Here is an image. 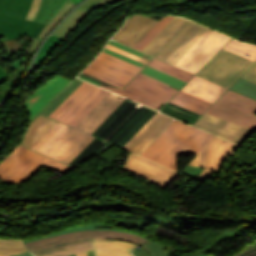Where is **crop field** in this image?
Instances as JSON below:
<instances>
[{"mask_svg": "<svg viewBox=\"0 0 256 256\" xmlns=\"http://www.w3.org/2000/svg\"><path fill=\"white\" fill-rule=\"evenodd\" d=\"M125 170L162 188H165L168 184H170L179 174V172L173 169L133 153L128 159Z\"/></svg>", "mask_w": 256, "mask_h": 256, "instance_id": "cbeb9de0", "label": "crop field"}, {"mask_svg": "<svg viewBox=\"0 0 256 256\" xmlns=\"http://www.w3.org/2000/svg\"><path fill=\"white\" fill-rule=\"evenodd\" d=\"M88 14L89 12L78 7L58 26L53 34L62 39H66L69 34L76 28V26L86 18Z\"/></svg>", "mask_w": 256, "mask_h": 256, "instance_id": "730fd06b", "label": "crop field"}, {"mask_svg": "<svg viewBox=\"0 0 256 256\" xmlns=\"http://www.w3.org/2000/svg\"><path fill=\"white\" fill-rule=\"evenodd\" d=\"M132 253L134 254V256H150V254L145 250L139 252V251L133 249Z\"/></svg>", "mask_w": 256, "mask_h": 256, "instance_id": "dbb93151", "label": "crop field"}, {"mask_svg": "<svg viewBox=\"0 0 256 256\" xmlns=\"http://www.w3.org/2000/svg\"><path fill=\"white\" fill-rule=\"evenodd\" d=\"M161 112L192 124L200 115L168 102ZM196 122V121H195ZM194 122V123H195Z\"/></svg>", "mask_w": 256, "mask_h": 256, "instance_id": "eef30255", "label": "crop field"}, {"mask_svg": "<svg viewBox=\"0 0 256 256\" xmlns=\"http://www.w3.org/2000/svg\"><path fill=\"white\" fill-rule=\"evenodd\" d=\"M106 142L96 138L85 150H83L72 162L70 165L73 167L82 163L86 159L93 156L100 148H102Z\"/></svg>", "mask_w": 256, "mask_h": 256, "instance_id": "028f5c9d", "label": "crop field"}, {"mask_svg": "<svg viewBox=\"0 0 256 256\" xmlns=\"http://www.w3.org/2000/svg\"><path fill=\"white\" fill-rule=\"evenodd\" d=\"M244 96L228 89L208 112L255 131L256 100Z\"/></svg>", "mask_w": 256, "mask_h": 256, "instance_id": "3316defc", "label": "crop field"}, {"mask_svg": "<svg viewBox=\"0 0 256 256\" xmlns=\"http://www.w3.org/2000/svg\"><path fill=\"white\" fill-rule=\"evenodd\" d=\"M141 73L151 76L155 79H158V80H160L164 83H167L171 86H174L178 89H180L182 86H184L186 84V82H184L180 79H177L171 75H168L162 71H159L155 68H152L148 65L141 71Z\"/></svg>", "mask_w": 256, "mask_h": 256, "instance_id": "750c4746", "label": "crop field"}, {"mask_svg": "<svg viewBox=\"0 0 256 256\" xmlns=\"http://www.w3.org/2000/svg\"><path fill=\"white\" fill-rule=\"evenodd\" d=\"M224 49L256 61V46L231 40Z\"/></svg>", "mask_w": 256, "mask_h": 256, "instance_id": "1d83c4d3", "label": "crop field"}, {"mask_svg": "<svg viewBox=\"0 0 256 256\" xmlns=\"http://www.w3.org/2000/svg\"><path fill=\"white\" fill-rule=\"evenodd\" d=\"M95 256H133L130 250L135 243L116 239H92Z\"/></svg>", "mask_w": 256, "mask_h": 256, "instance_id": "00972430", "label": "crop field"}, {"mask_svg": "<svg viewBox=\"0 0 256 256\" xmlns=\"http://www.w3.org/2000/svg\"><path fill=\"white\" fill-rule=\"evenodd\" d=\"M83 81L75 79L64 91H62L43 111L42 113L49 116L66 98H68Z\"/></svg>", "mask_w": 256, "mask_h": 256, "instance_id": "d3111659", "label": "crop field"}, {"mask_svg": "<svg viewBox=\"0 0 256 256\" xmlns=\"http://www.w3.org/2000/svg\"><path fill=\"white\" fill-rule=\"evenodd\" d=\"M206 30L197 23L174 17L142 52L174 65Z\"/></svg>", "mask_w": 256, "mask_h": 256, "instance_id": "ac0d7876", "label": "crop field"}, {"mask_svg": "<svg viewBox=\"0 0 256 256\" xmlns=\"http://www.w3.org/2000/svg\"><path fill=\"white\" fill-rule=\"evenodd\" d=\"M77 4L78 3H75L71 0H67L58 10V12L53 16V18L49 21V23L43 29L41 34L38 36V38L44 39L52 31V29L60 22V20Z\"/></svg>", "mask_w": 256, "mask_h": 256, "instance_id": "ae1a2a85", "label": "crop field"}, {"mask_svg": "<svg viewBox=\"0 0 256 256\" xmlns=\"http://www.w3.org/2000/svg\"><path fill=\"white\" fill-rule=\"evenodd\" d=\"M91 238L124 239L135 242L139 245L146 241L128 233L105 230H89L51 238L27 244L25 246L36 256H65L93 249Z\"/></svg>", "mask_w": 256, "mask_h": 256, "instance_id": "34b2d1b8", "label": "crop field"}, {"mask_svg": "<svg viewBox=\"0 0 256 256\" xmlns=\"http://www.w3.org/2000/svg\"><path fill=\"white\" fill-rule=\"evenodd\" d=\"M124 101L125 98L109 92L76 128L92 134Z\"/></svg>", "mask_w": 256, "mask_h": 256, "instance_id": "d9b57169", "label": "crop field"}, {"mask_svg": "<svg viewBox=\"0 0 256 256\" xmlns=\"http://www.w3.org/2000/svg\"><path fill=\"white\" fill-rule=\"evenodd\" d=\"M64 40L50 36L39 51L34 63L40 65Z\"/></svg>", "mask_w": 256, "mask_h": 256, "instance_id": "5866460e", "label": "crop field"}, {"mask_svg": "<svg viewBox=\"0 0 256 256\" xmlns=\"http://www.w3.org/2000/svg\"><path fill=\"white\" fill-rule=\"evenodd\" d=\"M243 78L256 83V64H254L244 75Z\"/></svg>", "mask_w": 256, "mask_h": 256, "instance_id": "425ffa30", "label": "crop field"}, {"mask_svg": "<svg viewBox=\"0 0 256 256\" xmlns=\"http://www.w3.org/2000/svg\"><path fill=\"white\" fill-rule=\"evenodd\" d=\"M145 250H147L152 256H168L167 253L164 251L167 247L160 246L157 243L153 242H146L141 245Z\"/></svg>", "mask_w": 256, "mask_h": 256, "instance_id": "b80d0937", "label": "crop field"}, {"mask_svg": "<svg viewBox=\"0 0 256 256\" xmlns=\"http://www.w3.org/2000/svg\"><path fill=\"white\" fill-rule=\"evenodd\" d=\"M173 18V16L163 17L135 46L134 48L142 50L157 33Z\"/></svg>", "mask_w": 256, "mask_h": 256, "instance_id": "e1f06a70", "label": "crop field"}, {"mask_svg": "<svg viewBox=\"0 0 256 256\" xmlns=\"http://www.w3.org/2000/svg\"><path fill=\"white\" fill-rule=\"evenodd\" d=\"M231 89L256 99V84L241 78Z\"/></svg>", "mask_w": 256, "mask_h": 256, "instance_id": "0bd39190", "label": "crop field"}, {"mask_svg": "<svg viewBox=\"0 0 256 256\" xmlns=\"http://www.w3.org/2000/svg\"><path fill=\"white\" fill-rule=\"evenodd\" d=\"M204 169L203 168H198L194 166H190L189 164L184 168L182 173L189 177H194L196 174H200Z\"/></svg>", "mask_w": 256, "mask_h": 256, "instance_id": "5d738f31", "label": "crop field"}, {"mask_svg": "<svg viewBox=\"0 0 256 256\" xmlns=\"http://www.w3.org/2000/svg\"><path fill=\"white\" fill-rule=\"evenodd\" d=\"M67 1V0H66ZM65 2V0H63L60 4H59V6L57 7V9H56V11L61 7V5L63 4ZM56 11L54 12V14L56 13ZM53 14V15H54ZM52 15V16H53ZM52 16L47 20V22H46V24L48 23V21L52 18Z\"/></svg>", "mask_w": 256, "mask_h": 256, "instance_id": "9d1cf04e", "label": "crop field"}, {"mask_svg": "<svg viewBox=\"0 0 256 256\" xmlns=\"http://www.w3.org/2000/svg\"><path fill=\"white\" fill-rule=\"evenodd\" d=\"M69 82L70 81L60 76L54 77L26 100V107L32 116V120L61 92V90Z\"/></svg>", "mask_w": 256, "mask_h": 256, "instance_id": "214f88e0", "label": "crop field"}, {"mask_svg": "<svg viewBox=\"0 0 256 256\" xmlns=\"http://www.w3.org/2000/svg\"><path fill=\"white\" fill-rule=\"evenodd\" d=\"M117 0H86L80 7L92 11L96 8L105 6L107 4L113 3Z\"/></svg>", "mask_w": 256, "mask_h": 256, "instance_id": "c035e120", "label": "crop field"}, {"mask_svg": "<svg viewBox=\"0 0 256 256\" xmlns=\"http://www.w3.org/2000/svg\"><path fill=\"white\" fill-rule=\"evenodd\" d=\"M106 48H108V49H110V50H113V51H115V52H117V53H120V54H122V55H124V56H127V57H129V58H131V59H134V60H136V61H138V62H141V63H143V64H145V65L149 63V61H147V60H145V59H142V58H140V57H137V56H135V55H133V54H130V53H128V52H125V51H123V50H121V49H118V48H116V47H113V46H111V45H109V44H107Z\"/></svg>", "mask_w": 256, "mask_h": 256, "instance_id": "03da06ac", "label": "crop field"}, {"mask_svg": "<svg viewBox=\"0 0 256 256\" xmlns=\"http://www.w3.org/2000/svg\"><path fill=\"white\" fill-rule=\"evenodd\" d=\"M141 70L140 67L101 52L84 72L123 89Z\"/></svg>", "mask_w": 256, "mask_h": 256, "instance_id": "28ad6ade", "label": "crop field"}, {"mask_svg": "<svg viewBox=\"0 0 256 256\" xmlns=\"http://www.w3.org/2000/svg\"><path fill=\"white\" fill-rule=\"evenodd\" d=\"M87 255H88V256H93V252H92V250L87 251Z\"/></svg>", "mask_w": 256, "mask_h": 256, "instance_id": "7b73153f", "label": "crop field"}, {"mask_svg": "<svg viewBox=\"0 0 256 256\" xmlns=\"http://www.w3.org/2000/svg\"><path fill=\"white\" fill-rule=\"evenodd\" d=\"M77 256H87L86 255V252H84V253H78V254H76Z\"/></svg>", "mask_w": 256, "mask_h": 256, "instance_id": "78b8030e", "label": "crop field"}, {"mask_svg": "<svg viewBox=\"0 0 256 256\" xmlns=\"http://www.w3.org/2000/svg\"><path fill=\"white\" fill-rule=\"evenodd\" d=\"M172 120L158 112L123 148L139 154Z\"/></svg>", "mask_w": 256, "mask_h": 256, "instance_id": "bc2a9ffb", "label": "crop field"}, {"mask_svg": "<svg viewBox=\"0 0 256 256\" xmlns=\"http://www.w3.org/2000/svg\"><path fill=\"white\" fill-rule=\"evenodd\" d=\"M32 0H0V42L20 36L35 37L45 25L25 20Z\"/></svg>", "mask_w": 256, "mask_h": 256, "instance_id": "dd49c442", "label": "crop field"}, {"mask_svg": "<svg viewBox=\"0 0 256 256\" xmlns=\"http://www.w3.org/2000/svg\"><path fill=\"white\" fill-rule=\"evenodd\" d=\"M238 148L215 136L189 164L207 168L200 174L201 181L205 182Z\"/></svg>", "mask_w": 256, "mask_h": 256, "instance_id": "22f410ed", "label": "crop field"}, {"mask_svg": "<svg viewBox=\"0 0 256 256\" xmlns=\"http://www.w3.org/2000/svg\"><path fill=\"white\" fill-rule=\"evenodd\" d=\"M182 90L214 103L227 88L195 75Z\"/></svg>", "mask_w": 256, "mask_h": 256, "instance_id": "dafd665d", "label": "crop field"}, {"mask_svg": "<svg viewBox=\"0 0 256 256\" xmlns=\"http://www.w3.org/2000/svg\"><path fill=\"white\" fill-rule=\"evenodd\" d=\"M94 139L93 136L63 124L37 152L69 165Z\"/></svg>", "mask_w": 256, "mask_h": 256, "instance_id": "e52e79f7", "label": "crop field"}, {"mask_svg": "<svg viewBox=\"0 0 256 256\" xmlns=\"http://www.w3.org/2000/svg\"><path fill=\"white\" fill-rule=\"evenodd\" d=\"M43 165L54 168L62 173L72 168L19 144L0 163V179L9 183H22L32 178Z\"/></svg>", "mask_w": 256, "mask_h": 256, "instance_id": "f4fd0767", "label": "crop field"}, {"mask_svg": "<svg viewBox=\"0 0 256 256\" xmlns=\"http://www.w3.org/2000/svg\"><path fill=\"white\" fill-rule=\"evenodd\" d=\"M73 1H76V2L80 3L82 0H73Z\"/></svg>", "mask_w": 256, "mask_h": 256, "instance_id": "0f1d7ab4", "label": "crop field"}, {"mask_svg": "<svg viewBox=\"0 0 256 256\" xmlns=\"http://www.w3.org/2000/svg\"><path fill=\"white\" fill-rule=\"evenodd\" d=\"M27 252L21 240L0 238V255H13Z\"/></svg>", "mask_w": 256, "mask_h": 256, "instance_id": "d32e631a", "label": "crop field"}, {"mask_svg": "<svg viewBox=\"0 0 256 256\" xmlns=\"http://www.w3.org/2000/svg\"><path fill=\"white\" fill-rule=\"evenodd\" d=\"M215 135L175 119L141 156L177 170V155H196Z\"/></svg>", "mask_w": 256, "mask_h": 256, "instance_id": "8a807250", "label": "crop field"}, {"mask_svg": "<svg viewBox=\"0 0 256 256\" xmlns=\"http://www.w3.org/2000/svg\"><path fill=\"white\" fill-rule=\"evenodd\" d=\"M112 144H109V143H107L101 150H103V149H105V148H107V147H109V146H111ZM101 150H99L98 152H100ZM97 152V153H98Z\"/></svg>", "mask_w": 256, "mask_h": 256, "instance_id": "db79e9e6", "label": "crop field"}, {"mask_svg": "<svg viewBox=\"0 0 256 256\" xmlns=\"http://www.w3.org/2000/svg\"><path fill=\"white\" fill-rule=\"evenodd\" d=\"M58 2V0H51L49 6L47 7L42 19L40 20L41 23H43V21L45 20L46 16L48 15V13L51 11V9L54 7V5ZM56 6V5H55ZM53 10V9H52ZM50 14V13H49ZM48 17V16H47Z\"/></svg>", "mask_w": 256, "mask_h": 256, "instance_id": "89e229c0", "label": "crop field"}, {"mask_svg": "<svg viewBox=\"0 0 256 256\" xmlns=\"http://www.w3.org/2000/svg\"><path fill=\"white\" fill-rule=\"evenodd\" d=\"M81 75H84V76H86V77H89V78H92V79H94V80H97V81L102 82L99 86L115 87V86H112V85H110V84H108V83H106V82H104V81H101V80L95 78V77H92V76H90V75H88V74H86V73H84V72H82Z\"/></svg>", "mask_w": 256, "mask_h": 256, "instance_id": "1f2cbd36", "label": "crop field"}, {"mask_svg": "<svg viewBox=\"0 0 256 256\" xmlns=\"http://www.w3.org/2000/svg\"><path fill=\"white\" fill-rule=\"evenodd\" d=\"M148 65L155 67L159 70H162L168 74H171L177 78H180L186 82L193 76V74H191V73H188V72H185L178 68H175V67H173L167 63H164L156 58H154Z\"/></svg>", "mask_w": 256, "mask_h": 256, "instance_id": "120bbe31", "label": "crop field"}, {"mask_svg": "<svg viewBox=\"0 0 256 256\" xmlns=\"http://www.w3.org/2000/svg\"><path fill=\"white\" fill-rule=\"evenodd\" d=\"M50 0H42V4L40 6V9L34 19V21L39 22L43 12L45 11L46 7L48 6ZM61 2V0H59V2L56 4V6L53 8V10L50 12V14L48 15V17L46 18V20L53 14V12L55 11L56 7L58 6V4ZM46 20L44 21V24L46 22Z\"/></svg>", "mask_w": 256, "mask_h": 256, "instance_id": "b54c1fbb", "label": "crop field"}, {"mask_svg": "<svg viewBox=\"0 0 256 256\" xmlns=\"http://www.w3.org/2000/svg\"><path fill=\"white\" fill-rule=\"evenodd\" d=\"M78 77H80V78H82V79H84V80H86V81L92 82V83H94V84H97V85H99V84H100V82H97V81L91 80V79L86 78V77H83V76H81V75H78Z\"/></svg>", "mask_w": 256, "mask_h": 256, "instance_id": "1d79db26", "label": "crop field"}, {"mask_svg": "<svg viewBox=\"0 0 256 256\" xmlns=\"http://www.w3.org/2000/svg\"><path fill=\"white\" fill-rule=\"evenodd\" d=\"M158 21L133 13L112 39L133 47Z\"/></svg>", "mask_w": 256, "mask_h": 256, "instance_id": "4a817a6b", "label": "crop field"}, {"mask_svg": "<svg viewBox=\"0 0 256 256\" xmlns=\"http://www.w3.org/2000/svg\"><path fill=\"white\" fill-rule=\"evenodd\" d=\"M94 227H96V228H94ZM89 229H105V230H115V231L128 232V233L135 234L137 236H140V237L148 240L147 238H145V237H143V236H141L137 233L122 230V229H119V228H116V227H112L108 224L96 222V223H88V224H83V225H79V226L70 227V228L60 230V231H57V232H54V233H51V234L43 235V236H38V237L25 239L24 243L27 244V243H31V242H35V241H39V240H43V239H47V238H51V237L71 233V232L84 231V230H89Z\"/></svg>", "mask_w": 256, "mask_h": 256, "instance_id": "4177f3b9", "label": "crop field"}, {"mask_svg": "<svg viewBox=\"0 0 256 256\" xmlns=\"http://www.w3.org/2000/svg\"><path fill=\"white\" fill-rule=\"evenodd\" d=\"M107 93H108V91L101 88L85 104V106L68 122V124L75 127Z\"/></svg>", "mask_w": 256, "mask_h": 256, "instance_id": "bd1437ed", "label": "crop field"}, {"mask_svg": "<svg viewBox=\"0 0 256 256\" xmlns=\"http://www.w3.org/2000/svg\"><path fill=\"white\" fill-rule=\"evenodd\" d=\"M8 73L0 67V83L7 79Z\"/></svg>", "mask_w": 256, "mask_h": 256, "instance_id": "0fb4a251", "label": "crop field"}, {"mask_svg": "<svg viewBox=\"0 0 256 256\" xmlns=\"http://www.w3.org/2000/svg\"><path fill=\"white\" fill-rule=\"evenodd\" d=\"M253 63L222 49L197 75L229 88Z\"/></svg>", "mask_w": 256, "mask_h": 256, "instance_id": "5a996713", "label": "crop field"}, {"mask_svg": "<svg viewBox=\"0 0 256 256\" xmlns=\"http://www.w3.org/2000/svg\"><path fill=\"white\" fill-rule=\"evenodd\" d=\"M103 52L108 53V54H110V55H113V56H115V57H117V58H120V59H122V60H125V61H127V62H130V63H132V64H135V65H137V66H140V67H142V68L145 67V65H143V64H141V63H138V62H136V61H134V60H131V59L127 58V57H124V56H122V55H120V54H117V53H115V52H113V51H110V50H108V49H106V48H104Z\"/></svg>", "mask_w": 256, "mask_h": 256, "instance_id": "d23c7cc5", "label": "crop field"}, {"mask_svg": "<svg viewBox=\"0 0 256 256\" xmlns=\"http://www.w3.org/2000/svg\"><path fill=\"white\" fill-rule=\"evenodd\" d=\"M126 100L93 135L123 147L157 111Z\"/></svg>", "mask_w": 256, "mask_h": 256, "instance_id": "412701ff", "label": "crop field"}, {"mask_svg": "<svg viewBox=\"0 0 256 256\" xmlns=\"http://www.w3.org/2000/svg\"><path fill=\"white\" fill-rule=\"evenodd\" d=\"M99 89L100 87L84 82L50 117L67 123Z\"/></svg>", "mask_w": 256, "mask_h": 256, "instance_id": "733c2abd", "label": "crop field"}, {"mask_svg": "<svg viewBox=\"0 0 256 256\" xmlns=\"http://www.w3.org/2000/svg\"><path fill=\"white\" fill-rule=\"evenodd\" d=\"M40 4H41V0H33V5H32L31 10L26 18L27 20H31V21L33 20Z\"/></svg>", "mask_w": 256, "mask_h": 256, "instance_id": "25e5ab78", "label": "crop field"}, {"mask_svg": "<svg viewBox=\"0 0 256 256\" xmlns=\"http://www.w3.org/2000/svg\"><path fill=\"white\" fill-rule=\"evenodd\" d=\"M13 256H33L31 253L27 252L24 254H20V255H13Z\"/></svg>", "mask_w": 256, "mask_h": 256, "instance_id": "447ae74e", "label": "crop field"}, {"mask_svg": "<svg viewBox=\"0 0 256 256\" xmlns=\"http://www.w3.org/2000/svg\"><path fill=\"white\" fill-rule=\"evenodd\" d=\"M230 39L208 29L175 66L196 74Z\"/></svg>", "mask_w": 256, "mask_h": 256, "instance_id": "d1516ede", "label": "crop field"}, {"mask_svg": "<svg viewBox=\"0 0 256 256\" xmlns=\"http://www.w3.org/2000/svg\"><path fill=\"white\" fill-rule=\"evenodd\" d=\"M194 126L212 132L239 145H241L254 131L248 130L207 112L194 124Z\"/></svg>", "mask_w": 256, "mask_h": 256, "instance_id": "5142ce71", "label": "crop field"}, {"mask_svg": "<svg viewBox=\"0 0 256 256\" xmlns=\"http://www.w3.org/2000/svg\"><path fill=\"white\" fill-rule=\"evenodd\" d=\"M69 256H75V254H73V255H69Z\"/></svg>", "mask_w": 256, "mask_h": 256, "instance_id": "e1d0b9f6", "label": "crop field"}, {"mask_svg": "<svg viewBox=\"0 0 256 256\" xmlns=\"http://www.w3.org/2000/svg\"><path fill=\"white\" fill-rule=\"evenodd\" d=\"M109 44H111V45H113V46H116V47H118V48H121V49H123V50H125V51H128V52H130V53H133V54H135V55H137V56H140V57H142V58H145V59H147V60H149V61H151V60L153 59V57H151V56H149V55H146V54H144V53H142V52H139V51H137V50H134V49H132V48H130V47H127V46H125V45H122V44H120V43H118V42H115V41H113V40H110V41H109Z\"/></svg>", "mask_w": 256, "mask_h": 256, "instance_id": "c21b1889", "label": "crop field"}, {"mask_svg": "<svg viewBox=\"0 0 256 256\" xmlns=\"http://www.w3.org/2000/svg\"><path fill=\"white\" fill-rule=\"evenodd\" d=\"M194 256H211V255H208V254H206V253L201 252V253H199V254H197V255H194Z\"/></svg>", "mask_w": 256, "mask_h": 256, "instance_id": "0765c3eb", "label": "crop field"}, {"mask_svg": "<svg viewBox=\"0 0 256 256\" xmlns=\"http://www.w3.org/2000/svg\"><path fill=\"white\" fill-rule=\"evenodd\" d=\"M119 95L159 110L179 90L139 73L123 90L107 88Z\"/></svg>", "mask_w": 256, "mask_h": 256, "instance_id": "d8731c3e", "label": "crop field"}, {"mask_svg": "<svg viewBox=\"0 0 256 256\" xmlns=\"http://www.w3.org/2000/svg\"><path fill=\"white\" fill-rule=\"evenodd\" d=\"M170 102L202 115L212 103L180 90Z\"/></svg>", "mask_w": 256, "mask_h": 256, "instance_id": "a9b5d70f", "label": "crop field"}, {"mask_svg": "<svg viewBox=\"0 0 256 256\" xmlns=\"http://www.w3.org/2000/svg\"><path fill=\"white\" fill-rule=\"evenodd\" d=\"M188 1H191V0H187L186 2H188Z\"/></svg>", "mask_w": 256, "mask_h": 256, "instance_id": "ae633e8c", "label": "crop field"}, {"mask_svg": "<svg viewBox=\"0 0 256 256\" xmlns=\"http://www.w3.org/2000/svg\"><path fill=\"white\" fill-rule=\"evenodd\" d=\"M61 125L62 123L40 114L31 123L22 145L36 151Z\"/></svg>", "mask_w": 256, "mask_h": 256, "instance_id": "92a150f3", "label": "crop field"}, {"mask_svg": "<svg viewBox=\"0 0 256 256\" xmlns=\"http://www.w3.org/2000/svg\"><path fill=\"white\" fill-rule=\"evenodd\" d=\"M40 43H41L40 39L32 38V45H31V49L29 51L28 57H30V58L32 57V55L34 54L35 50L40 45Z\"/></svg>", "mask_w": 256, "mask_h": 256, "instance_id": "73cf0c24", "label": "crop field"}]
</instances>
